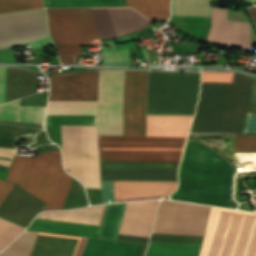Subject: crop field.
<instances>
[{
	"instance_id": "crop-field-28",
	"label": "crop field",
	"mask_w": 256,
	"mask_h": 256,
	"mask_svg": "<svg viewBox=\"0 0 256 256\" xmlns=\"http://www.w3.org/2000/svg\"><path fill=\"white\" fill-rule=\"evenodd\" d=\"M200 245L150 242L147 256H198Z\"/></svg>"
},
{
	"instance_id": "crop-field-41",
	"label": "crop field",
	"mask_w": 256,
	"mask_h": 256,
	"mask_svg": "<svg viewBox=\"0 0 256 256\" xmlns=\"http://www.w3.org/2000/svg\"><path fill=\"white\" fill-rule=\"evenodd\" d=\"M227 20L249 23L250 30H251L252 43H256V33L253 30L250 22L247 20L244 13H235V12L228 11L227 12Z\"/></svg>"
},
{
	"instance_id": "crop-field-33",
	"label": "crop field",
	"mask_w": 256,
	"mask_h": 256,
	"mask_svg": "<svg viewBox=\"0 0 256 256\" xmlns=\"http://www.w3.org/2000/svg\"><path fill=\"white\" fill-rule=\"evenodd\" d=\"M43 7L42 0H0V14Z\"/></svg>"
},
{
	"instance_id": "crop-field-9",
	"label": "crop field",
	"mask_w": 256,
	"mask_h": 256,
	"mask_svg": "<svg viewBox=\"0 0 256 256\" xmlns=\"http://www.w3.org/2000/svg\"><path fill=\"white\" fill-rule=\"evenodd\" d=\"M46 20L44 9L0 15V49L28 43L31 48L53 45Z\"/></svg>"
},
{
	"instance_id": "crop-field-35",
	"label": "crop field",
	"mask_w": 256,
	"mask_h": 256,
	"mask_svg": "<svg viewBox=\"0 0 256 256\" xmlns=\"http://www.w3.org/2000/svg\"><path fill=\"white\" fill-rule=\"evenodd\" d=\"M25 229L0 219V250L11 243Z\"/></svg>"
},
{
	"instance_id": "crop-field-30",
	"label": "crop field",
	"mask_w": 256,
	"mask_h": 256,
	"mask_svg": "<svg viewBox=\"0 0 256 256\" xmlns=\"http://www.w3.org/2000/svg\"><path fill=\"white\" fill-rule=\"evenodd\" d=\"M211 0H173L172 15L210 16Z\"/></svg>"
},
{
	"instance_id": "crop-field-5",
	"label": "crop field",
	"mask_w": 256,
	"mask_h": 256,
	"mask_svg": "<svg viewBox=\"0 0 256 256\" xmlns=\"http://www.w3.org/2000/svg\"><path fill=\"white\" fill-rule=\"evenodd\" d=\"M200 73H149L147 114L193 115Z\"/></svg>"
},
{
	"instance_id": "crop-field-2",
	"label": "crop field",
	"mask_w": 256,
	"mask_h": 256,
	"mask_svg": "<svg viewBox=\"0 0 256 256\" xmlns=\"http://www.w3.org/2000/svg\"><path fill=\"white\" fill-rule=\"evenodd\" d=\"M193 116H147V137L99 136L100 160L179 161Z\"/></svg>"
},
{
	"instance_id": "crop-field-43",
	"label": "crop field",
	"mask_w": 256,
	"mask_h": 256,
	"mask_svg": "<svg viewBox=\"0 0 256 256\" xmlns=\"http://www.w3.org/2000/svg\"><path fill=\"white\" fill-rule=\"evenodd\" d=\"M103 203L113 202L112 181H102Z\"/></svg>"
},
{
	"instance_id": "crop-field-17",
	"label": "crop field",
	"mask_w": 256,
	"mask_h": 256,
	"mask_svg": "<svg viewBox=\"0 0 256 256\" xmlns=\"http://www.w3.org/2000/svg\"><path fill=\"white\" fill-rule=\"evenodd\" d=\"M97 101H49L45 125H96Z\"/></svg>"
},
{
	"instance_id": "crop-field-36",
	"label": "crop field",
	"mask_w": 256,
	"mask_h": 256,
	"mask_svg": "<svg viewBox=\"0 0 256 256\" xmlns=\"http://www.w3.org/2000/svg\"><path fill=\"white\" fill-rule=\"evenodd\" d=\"M234 151H256V135L235 134Z\"/></svg>"
},
{
	"instance_id": "crop-field-3",
	"label": "crop field",
	"mask_w": 256,
	"mask_h": 256,
	"mask_svg": "<svg viewBox=\"0 0 256 256\" xmlns=\"http://www.w3.org/2000/svg\"><path fill=\"white\" fill-rule=\"evenodd\" d=\"M233 175L229 160L189 139L178 200L232 208Z\"/></svg>"
},
{
	"instance_id": "crop-field-16",
	"label": "crop field",
	"mask_w": 256,
	"mask_h": 256,
	"mask_svg": "<svg viewBox=\"0 0 256 256\" xmlns=\"http://www.w3.org/2000/svg\"><path fill=\"white\" fill-rule=\"evenodd\" d=\"M98 71L51 75L49 100H97Z\"/></svg>"
},
{
	"instance_id": "crop-field-51",
	"label": "crop field",
	"mask_w": 256,
	"mask_h": 256,
	"mask_svg": "<svg viewBox=\"0 0 256 256\" xmlns=\"http://www.w3.org/2000/svg\"><path fill=\"white\" fill-rule=\"evenodd\" d=\"M247 112L256 113V105H249Z\"/></svg>"
},
{
	"instance_id": "crop-field-29",
	"label": "crop field",
	"mask_w": 256,
	"mask_h": 256,
	"mask_svg": "<svg viewBox=\"0 0 256 256\" xmlns=\"http://www.w3.org/2000/svg\"><path fill=\"white\" fill-rule=\"evenodd\" d=\"M102 207L103 206L62 213H44L39 216V218L98 224Z\"/></svg>"
},
{
	"instance_id": "crop-field-24",
	"label": "crop field",
	"mask_w": 256,
	"mask_h": 256,
	"mask_svg": "<svg viewBox=\"0 0 256 256\" xmlns=\"http://www.w3.org/2000/svg\"><path fill=\"white\" fill-rule=\"evenodd\" d=\"M100 226L35 219L27 230L97 238Z\"/></svg>"
},
{
	"instance_id": "crop-field-19",
	"label": "crop field",
	"mask_w": 256,
	"mask_h": 256,
	"mask_svg": "<svg viewBox=\"0 0 256 256\" xmlns=\"http://www.w3.org/2000/svg\"><path fill=\"white\" fill-rule=\"evenodd\" d=\"M45 204L15 185L0 207V217L27 227Z\"/></svg>"
},
{
	"instance_id": "crop-field-32",
	"label": "crop field",
	"mask_w": 256,
	"mask_h": 256,
	"mask_svg": "<svg viewBox=\"0 0 256 256\" xmlns=\"http://www.w3.org/2000/svg\"><path fill=\"white\" fill-rule=\"evenodd\" d=\"M88 201L86 198L85 190L76 179H73L68 196L62 209L77 208L87 206Z\"/></svg>"
},
{
	"instance_id": "crop-field-50",
	"label": "crop field",
	"mask_w": 256,
	"mask_h": 256,
	"mask_svg": "<svg viewBox=\"0 0 256 256\" xmlns=\"http://www.w3.org/2000/svg\"><path fill=\"white\" fill-rule=\"evenodd\" d=\"M248 11H249L254 23L256 24V7H249Z\"/></svg>"
},
{
	"instance_id": "crop-field-11",
	"label": "crop field",
	"mask_w": 256,
	"mask_h": 256,
	"mask_svg": "<svg viewBox=\"0 0 256 256\" xmlns=\"http://www.w3.org/2000/svg\"><path fill=\"white\" fill-rule=\"evenodd\" d=\"M38 233L25 231L0 256H30ZM88 238L39 233L31 256H80Z\"/></svg>"
},
{
	"instance_id": "crop-field-40",
	"label": "crop field",
	"mask_w": 256,
	"mask_h": 256,
	"mask_svg": "<svg viewBox=\"0 0 256 256\" xmlns=\"http://www.w3.org/2000/svg\"><path fill=\"white\" fill-rule=\"evenodd\" d=\"M19 101L0 106V120H15Z\"/></svg>"
},
{
	"instance_id": "crop-field-12",
	"label": "crop field",
	"mask_w": 256,
	"mask_h": 256,
	"mask_svg": "<svg viewBox=\"0 0 256 256\" xmlns=\"http://www.w3.org/2000/svg\"><path fill=\"white\" fill-rule=\"evenodd\" d=\"M45 107H19L16 121H0V179L4 180L15 153L16 138L34 137L44 128Z\"/></svg>"
},
{
	"instance_id": "crop-field-4",
	"label": "crop field",
	"mask_w": 256,
	"mask_h": 256,
	"mask_svg": "<svg viewBox=\"0 0 256 256\" xmlns=\"http://www.w3.org/2000/svg\"><path fill=\"white\" fill-rule=\"evenodd\" d=\"M72 179L62 168L58 149L31 158L15 156L6 181L46 202L43 211L62 208ZM7 182L0 180V205L14 187Z\"/></svg>"
},
{
	"instance_id": "crop-field-22",
	"label": "crop field",
	"mask_w": 256,
	"mask_h": 256,
	"mask_svg": "<svg viewBox=\"0 0 256 256\" xmlns=\"http://www.w3.org/2000/svg\"><path fill=\"white\" fill-rule=\"evenodd\" d=\"M177 182L113 181L114 199L168 195Z\"/></svg>"
},
{
	"instance_id": "crop-field-20",
	"label": "crop field",
	"mask_w": 256,
	"mask_h": 256,
	"mask_svg": "<svg viewBox=\"0 0 256 256\" xmlns=\"http://www.w3.org/2000/svg\"><path fill=\"white\" fill-rule=\"evenodd\" d=\"M252 78L235 73L223 133H242Z\"/></svg>"
},
{
	"instance_id": "crop-field-34",
	"label": "crop field",
	"mask_w": 256,
	"mask_h": 256,
	"mask_svg": "<svg viewBox=\"0 0 256 256\" xmlns=\"http://www.w3.org/2000/svg\"><path fill=\"white\" fill-rule=\"evenodd\" d=\"M112 45V48H103V65H131L128 50L115 52L114 43L112 40L104 41Z\"/></svg>"
},
{
	"instance_id": "crop-field-1",
	"label": "crop field",
	"mask_w": 256,
	"mask_h": 256,
	"mask_svg": "<svg viewBox=\"0 0 256 256\" xmlns=\"http://www.w3.org/2000/svg\"><path fill=\"white\" fill-rule=\"evenodd\" d=\"M148 71H100L98 95L99 135L145 136Z\"/></svg>"
},
{
	"instance_id": "crop-field-44",
	"label": "crop field",
	"mask_w": 256,
	"mask_h": 256,
	"mask_svg": "<svg viewBox=\"0 0 256 256\" xmlns=\"http://www.w3.org/2000/svg\"><path fill=\"white\" fill-rule=\"evenodd\" d=\"M243 133H256V114L247 113Z\"/></svg>"
},
{
	"instance_id": "crop-field-47",
	"label": "crop field",
	"mask_w": 256,
	"mask_h": 256,
	"mask_svg": "<svg viewBox=\"0 0 256 256\" xmlns=\"http://www.w3.org/2000/svg\"><path fill=\"white\" fill-rule=\"evenodd\" d=\"M256 255V224L255 228L249 243V247L246 253V256H255Z\"/></svg>"
},
{
	"instance_id": "crop-field-7",
	"label": "crop field",
	"mask_w": 256,
	"mask_h": 256,
	"mask_svg": "<svg viewBox=\"0 0 256 256\" xmlns=\"http://www.w3.org/2000/svg\"><path fill=\"white\" fill-rule=\"evenodd\" d=\"M65 170L84 183L101 189L97 126H61Z\"/></svg>"
},
{
	"instance_id": "crop-field-14",
	"label": "crop field",
	"mask_w": 256,
	"mask_h": 256,
	"mask_svg": "<svg viewBox=\"0 0 256 256\" xmlns=\"http://www.w3.org/2000/svg\"><path fill=\"white\" fill-rule=\"evenodd\" d=\"M102 180L177 181L179 162H100Z\"/></svg>"
},
{
	"instance_id": "crop-field-46",
	"label": "crop field",
	"mask_w": 256,
	"mask_h": 256,
	"mask_svg": "<svg viewBox=\"0 0 256 256\" xmlns=\"http://www.w3.org/2000/svg\"><path fill=\"white\" fill-rule=\"evenodd\" d=\"M174 53H191L198 45H172Z\"/></svg>"
},
{
	"instance_id": "crop-field-13",
	"label": "crop field",
	"mask_w": 256,
	"mask_h": 256,
	"mask_svg": "<svg viewBox=\"0 0 256 256\" xmlns=\"http://www.w3.org/2000/svg\"><path fill=\"white\" fill-rule=\"evenodd\" d=\"M232 84L202 83L190 132L222 133Z\"/></svg>"
},
{
	"instance_id": "crop-field-31",
	"label": "crop field",
	"mask_w": 256,
	"mask_h": 256,
	"mask_svg": "<svg viewBox=\"0 0 256 256\" xmlns=\"http://www.w3.org/2000/svg\"><path fill=\"white\" fill-rule=\"evenodd\" d=\"M45 7L126 6L124 0H43Z\"/></svg>"
},
{
	"instance_id": "crop-field-52",
	"label": "crop field",
	"mask_w": 256,
	"mask_h": 256,
	"mask_svg": "<svg viewBox=\"0 0 256 256\" xmlns=\"http://www.w3.org/2000/svg\"><path fill=\"white\" fill-rule=\"evenodd\" d=\"M250 2H252V3H255L256 2V0H249Z\"/></svg>"
},
{
	"instance_id": "crop-field-8",
	"label": "crop field",
	"mask_w": 256,
	"mask_h": 256,
	"mask_svg": "<svg viewBox=\"0 0 256 256\" xmlns=\"http://www.w3.org/2000/svg\"><path fill=\"white\" fill-rule=\"evenodd\" d=\"M221 210L230 211V212H239V211H232V210H228V209H224V208L211 207L200 256H207V253H208V250L210 247V243H211V240H212V237L214 234V230H215ZM239 213H245V212H239ZM247 214H256V212L255 213H247ZM229 216L230 215H228V214H223V213L220 214L219 221H218V224H217V227L215 230V234H214V237H213V240L211 243V247H210L208 256H217L218 255L220 245H221V242H222V239L224 236V232H225V229H226V226L228 223ZM241 217L242 216H233V215L231 216L230 223H229V226H228V229L226 232V236H225V239L223 242V246H222L219 256H229L230 255ZM243 218L244 217H242L240 227H241ZM253 219L254 218H250V217L244 218L241 230L239 227L240 234H239V230H238V233H237V236H236V239L234 242V246H235V243H236V240H237V237L239 234L235 249L233 246L234 252L232 249L233 255L231 252L232 256H242L243 255L245 245H246V242H247V239L249 236V232H250V229L252 226ZM255 221H256V218L254 219L253 226H252L250 236H249L247 246H246L243 256H245V253H246V250L248 247V243H249V240H250L253 228H254Z\"/></svg>"
},
{
	"instance_id": "crop-field-27",
	"label": "crop field",
	"mask_w": 256,
	"mask_h": 256,
	"mask_svg": "<svg viewBox=\"0 0 256 256\" xmlns=\"http://www.w3.org/2000/svg\"><path fill=\"white\" fill-rule=\"evenodd\" d=\"M125 204H107L98 238L116 240Z\"/></svg>"
},
{
	"instance_id": "crop-field-10",
	"label": "crop field",
	"mask_w": 256,
	"mask_h": 256,
	"mask_svg": "<svg viewBox=\"0 0 256 256\" xmlns=\"http://www.w3.org/2000/svg\"><path fill=\"white\" fill-rule=\"evenodd\" d=\"M209 208L162 200L152 233L203 236Z\"/></svg>"
},
{
	"instance_id": "crop-field-42",
	"label": "crop field",
	"mask_w": 256,
	"mask_h": 256,
	"mask_svg": "<svg viewBox=\"0 0 256 256\" xmlns=\"http://www.w3.org/2000/svg\"><path fill=\"white\" fill-rule=\"evenodd\" d=\"M46 131L49 139L57 143L62 149L60 126H46Z\"/></svg>"
},
{
	"instance_id": "crop-field-21",
	"label": "crop field",
	"mask_w": 256,
	"mask_h": 256,
	"mask_svg": "<svg viewBox=\"0 0 256 256\" xmlns=\"http://www.w3.org/2000/svg\"><path fill=\"white\" fill-rule=\"evenodd\" d=\"M158 202L127 203L119 233L149 237Z\"/></svg>"
},
{
	"instance_id": "crop-field-26",
	"label": "crop field",
	"mask_w": 256,
	"mask_h": 256,
	"mask_svg": "<svg viewBox=\"0 0 256 256\" xmlns=\"http://www.w3.org/2000/svg\"><path fill=\"white\" fill-rule=\"evenodd\" d=\"M127 6H132L152 22L169 18L170 0H125Z\"/></svg>"
},
{
	"instance_id": "crop-field-25",
	"label": "crop field",
	"mask_w": 256,
	"mask_h": 256,
	"mask_svg": "<svg viewBox=\"0 0 256 256\" xmlns=\"http://www.w3.org/2000/svg\"><path fill=\"white\" fill-rule=\"evenodd\" d=\"M37 73L7 68L6 102L36 92Z\"/></svg>"
},
{
	"instance_id": "crop-field-18",
	"label": "crop field",
	"mask_w": 256,
	"mask_h": 256,
	"mask_svg": "<svg viewBox=\"0 0 256 256\" xmlns=\"http://www.w3.org/2000/svg\"><path fill=\"white\" fill-rule=\"evenodd\" d=\"M226 11L211 8V26L206 42L234 45L252 51L248 24L226 21Z\"/></svg>"
},
{
	"instance_id": "crop-field-45",
	"label": "crop field",
	"mask_w": 256,
	"mask_h": 256,
	"mask_svg": "<svg viewBox=\"0 0 256 256\" xmlns=\"http://www.w3.org/2000/svg\"><path fill=\"white\" fill-rule=\"evenodd\" d=\"M5 77L6 68H0V103H3L5 98Z\"/></svg>"
},
{
	"instance_id": "crop-field-37",
	"label": "crop field",
	"mask_w": 256,
	"mask_h": 256,
	"mask_svg": "<svg viewBox=\"0 0 256 256\" xmlns=\"http://www.w3.org/2000/svg\"><path fill=\"white\" fill-rule=\"evenodd\" d=\"M202 237L152 234L150 241L200 244Z\"/></svg>"
},
{
	"instance_id": "crop-field-48",
	"label": "crop field",
	"mask_w": 256,
	"mask_h": 256,
	"mask_svg": "<svg viewBox=\"0 0 256 256\" xmlns=\"http://www.w3.org/2000/svg\"><path fill=\"white\" fill-rule=\"evenodd\" d=\"M149 238L145 237H137V236H126V235H119L118 240L121 241H129V242H140V243H147Z\"/></svg>"
},
{
	"instance_id": "crop-field-23",
	"label": "crop field",
	"mask_w": 256,
	"mask_h": 256,
	"mask_svg": "<svg viewBox=\"0 0 256 256\" xmlns=\"http://www.w3.org/2000/svg\"><path fill=\"white\" fill-rule=\"evenodd\" d=\"M139 245L89 238L82 256H136ZM146 246L140 245L137 256H144Z\"/></svg>"
},
{
	"instance_id": "crop-field-6",
	"label": "crop field",
	"mask_w": 256,
	"mask_h": 256,
	"mask_svg": "<svg viewBox=\"0 0 256 256\" xmlns=\"http://www.w3.org/2000/svg\"><path fill=\"white\" fill-rule=\"evenodd\" d=\"M46 10L51 39L58 49L61 63L77 64L75 55L81 54L80 43H101L89 8Z\"/></svg>"
},
{
	"instance_id": "crop-field-39",
	"label": "crop field",
	"mask_w": 256,
	"mask_h": 256,
	"mask_svg": "<svg viewBox=\"0 0 256 256\" xmlns=\"http://www.w3.org/2000/svg\"><path fill=\"white\" fill-rule=\"evenodd\" d=\"M48 92H42L31 97L22 99L19 106H46Z\"/></svg>"
},
{
	"instance_id": "crop-field-15",
	"label": "crop field",
	"mask_w": 256,
	"mask_h": 256,
	"mask_svg": "<svg viewBox=\"0 0 256 256\" xmlns=\"http://www.w3.org/2000/svg\"><path fill=\"white\" fill-rule=\"evenodd\" d=\"M90 9L100 40L125 36L151 24L130 7Z\"/></svg>"
},
{
	"instance_id": "crop-field-49",
	"label": "crop field",
	"mask_w": 256,
	"mask_h": 256,
	"mask_svg": "<svg viewBox=\"0 0 256 256\" xmlns=\"http://www.w3.org/2000/svg\"><path fill=\"white\" fill-rule=\"evenodd\" d=\"M249 104H256V80L254 79Z\"/></svg>"
},
{
	"instance_id": "crop-field-38",
	"label": "crop field",
	"mask_w": 256,
	"mask_h": 256,
	"mask_svg": "<svg viewBox=\"0 0 256 256\" xmlns=\"http://www.w3.org/2000/svg\"><path fill=\"white\" fill-rule=\"evenodd\" d=\"M234 73L202 72V82L232 83Z\"/></svg>"
}]
</instances>
